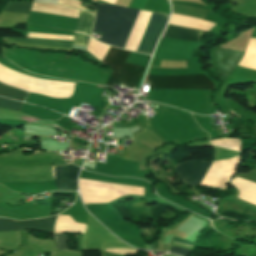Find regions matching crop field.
I'll list each match as a JSON object with an SVG mask.
<instances>
[{"label":"crop field","mask_w":256,"mask_h":256,"mask_svg":"<svg viewBox=\"0 0 256 256\" xmlns=\"http://www.w3.org/2000/svg\"><path fill=\"white\" fill-rule=\"evenodd\" d=\"M138 11L116 5L98 4L92 31L103 33L99 41L123 48Z\"/></svg>","instance_id":"1"},{"label":"crop field","mask_w":256,"mask_h":256,"mask_svg":"<svg viewBox=\"0 0 256 256\" xmlns=\"http://www.w3.org/2000/svg\"><path fill=\"white\" fill-rule=\"evenodd\" d=\"M130 52L110 47L102 63L111 65L113 69L106 86L113 87L121 84L126 87L135 88L144 70V67L124 63Z\"/></svg>","instance_id":"2"},{"label":"crop field","mask_w":256,"mask_h":256,"mask_svg":"<svg viewBox=\"0 0 256 256\" xmlns=\"http://www.w3.org/2000/svg\"><path fill=\"white\" fill-rule=\"evenodd\" d=\"M149 88L156 89H214V84L204 75L160 76L147 75Z\"/></svg>","instance_id":"3"},{"label":"crop field","mask_w":256,"mask_h":256,"mask_svg":"<svg viewBox=\"0 0 256 256\" xmlns=\"http://www.w3.org/2000/svg\"><path fill=\"white\" fill-rule=\"evenodd\" d=\"M241 155L223 161L214 162L201 185L226 190L227 183L236 172Z\"/></svg>","instance_id":"4"},{"label":"crop field","mask_w":256,"mask_h":256,"mask_svg":"<svg viewBox=\"0 0 256 256\" xmlns=\"http://www.w3.org/2000/svg\"><path fill=\"white\" fill-rule=\"evenodd\" d=\"M168 17L160 14L153 13L145 34L141 40L138 52L151 55L158 37L167 23ZM162 34V33H161Z\"/></svg>","instance_id":"5"},{"label":"crop field","mask_w":256,"mask_h":256,"mask_svg":"<svg viewBox=\"0 0 256 256\" xmlns=\"http://www.w3.org/2000/svg\"><path fill=\"white\" fill-rule=\"evenodd\" d=\"M210 165L211 163L200 161L184 162L176 167V174L187 186L196 187L199 185Z\"/></svg>","instance_id":"6"},{"label":"crop field","mask_w":256,"mask_h":256,"mask_svg":"<svg viewBox=\"0 0 256 256\" xmlns=\"http://www.w3.org/2000/svg\"><path fill=\"white\" fill-rule=\"evenodd\" d=\"M56 216L35 220L14 221L0 218V232L24 229H35L53 233V224Z\"/></svg>","instance_id":"7"},{"label":"crop field","mask_w":256,"mask_h":256,"mask_svg":"<svg viewBox=\"0 0 256 256\" xmlns=\"http://www.w3.org/2000/svg\"><path fill=\"white\" fill-rule=\"evenodd\" d=\"M79 169L71 163L68 166L53 167L54 190H77V174Z\"/></svg>","instance_id":"8"},{"label":"crop field","mask_w":256,"mask_h":256,"mask_svg":"<svg viewBox=\"0 0 256 256\" xmlns=\"http://www.w3.org/2000/svg\"><path fill=\"white\" fill-rule=\"evenodd\" d=\"M52 163L51 156L22 158V157H0V165H9L19 168L47 166Z\"/></svg>","instance_id":"9"},{"label":"crop field","mask_w":256,"mask_h":256,"mask_svg":"<svg viewBox=\"0 0 256 256\" xmlns=\"http://www.w3.org/2000/svg\"><path fill=\"white\" fill-rule=\"evenodd\" d=\"M202 34V31L168 25L163 36L199 42L198 39Z\"/></svg>","instance_id":"10"},{"label":"crop field","mask_w":256,"mask_h":256,"mask_svg":"<svg viewBox=\"0 0 256 256\" xmlns=\"http://www.w3.org/2000/svg\"><path fill=\"white\" fill-rule=\"evenodd\" d=\"M12 41L22 42V43H31V44H40V45H49V46H58V47H67L72 48L73 41H58V40H43V39H14L10 38Z\"/></svg>","instance_id":"11"},{"label":"crop field","mask_w":256,"mask_h":256,"mask_svg":"<svg viewBox=\"0 0 256 256\" xmlns=\"http://www.w3.org/2000/svg\"><path fill=\"white\" fill-rule=\"evenodd\" d=\"M93 18H94L93 14L81 10L75 31L83 32L85 34L90 35Z\"/></svg>","instance_id":"12"},{"label":"crop field","mask_w":256,"mask_h":256,"mask_svg":"<svg viewBox=\"0 0 256 256\" xmlns=\"http://www.w3.org/2000/svg\"><path fill=\"white\" fill-rule=\"evenodd\" d=\"M27 93L0 83V96L23 101Z\"/></svg>","instance_id":"13"},{"label":"crop field","mask_w":256,"mask_h":256,"mask_svg":"<svg viewBox=\"0 0 256 256\" xmlns=\"http://www.w3.org/2000/svg\"><path fill=\"white\" fill-rule=\"evenodd\" d=\"M31 4L32 3H29V2H14V1H11L7 5V7L4 9V11L29 14Z\"/></svg>","instance_id":"14"},{"label":"crop field","mask_w":256,"mask_h":256,"mask_svg":"<svg viewBox=\"0 0 256 256\" xmlns=\"http://www.w3.org/2000/svg\"><path fill=\"white\" fill-rule=\"evenodd\" d=\"M22 102L0 98V107L20 111Z\"/></svg>","instance_id":"15"},{"label":"crop field","mask_w":256,"mask_h":256,"mask_svg":"<svg viewBox=\"0 0 256 256\" xmlns=\"http://www.w3.org/2000/svg\"><path fill=\"white\" fill-rule=\"evenodd\" d=\"M55 237H56L57 244H58V250H63V249L68 248L67 243H66L68 241L67 236H65L63 234H55Z\"/></svg>","instance_id":"16"},{"label":"crop field","mask_w":256,"mask_h":256,"mask_svg":"<svg viewBox=\"0 0 256 256\" xmlns=\"http://www.w3.org/2000/svg\"><path fill=\"white\" fill-rule=\"evenodd\" d=\"M173 241L179 242V243H183V244H187V245H191V246L193 245L192 242H188V241H184V240H180V239H176V238H174ZM170 252L177 253V254H179V255H181V256H186L187 253H188L187 250L178 249V248H174V247L171 248V251H170Z\"/></svg>","instance_id":"17"},{"label":"crop field","mask_w":256,"mask_h":256,"mask_svg":"<svg viewBox=\"0 0 256 256\" xmlns=\"http://www.w3.org/2000/svg\"><path fill=\"white\" fill-rule=\"evenodd\" d=\"M89 36L85 34L75 33V43L87 45Z\"/></svg>","instance_id":"18"},{"label":"crop field","mask_w":256,"mask_h":256,"mask_svg":"<svg viewBox=\"0 0 256 256\" xmlns=\"http://www.w3.org/2000/svg\"><path fill=\"white\" fill-rule=\"evenodd\" d=\"M42 198H44V197H38L36 199H42ZM36 199H34V200H36ZM26 205H52V198L46 199V200L43 199V200L32 201Z\"/></svg>","instance_id":"19"},{"label":"crop field","mask_w":256,"mask_h":256,"mask_svg":"<svg viewBox=\"0 0 256 256\" xmlns=\"http://www.w3.org/2000/svg\"><path fill=\"white\" fill-rule=\"evenodd\" d=\"M82 9H85V10H88V11H90V12H93V13H95V11L94 10H91V9H88V8H86V7H81Z\"/></svg>","instance_id":"20"}]
</instances>
